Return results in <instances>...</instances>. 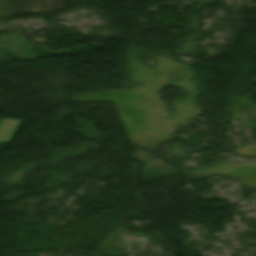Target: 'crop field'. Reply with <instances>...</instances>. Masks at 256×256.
<instances>
[{"instance_id":"1","label":"crop field","mask_w":256,"mask_h":256,"mask_svg":"<svg viewBox=\"0 0 256 256\" xmlns=\"http://www.w3.org/2000/svg\"><path fill=\"white\" fill-rule=\"evenodd\" d=\"M20 123V120L2 119L0 122V142L10 141Z\"/></svg>"}]
</instances>
